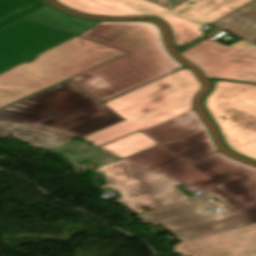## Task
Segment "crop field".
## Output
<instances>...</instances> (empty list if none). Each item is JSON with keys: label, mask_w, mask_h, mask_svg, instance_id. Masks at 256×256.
<instances>
[{"label": "crop field", "mask_w": 256, "mask_h": 256, "mask_svg": "<svg viewBox=\"0 0 256 256\" xmlns=\"http://www.w3.org/2000/svg\"><path fill=\"white\" fill-rule=\"evenodd\" d=\"M142 133L158 145L94 169L106 176L101 189L111 187L123 197L117 202L138 214L142 207L156 209L188 198L177 185L185 184L188 192L207 191L138 217L181 241L256 223V208L249 209L256 205V168L218 151L194 109ZM215 207L222 211H205Z\"/></svg>", "instance_id": "8a807250"}, {"label": "crop field", "mask_w": 256, "mask_h": 256, "mask_svg": "<svg viewBox=\"0 0 256 256\" xmlns=\"http://www.w3.org/2000/svg\"><path fill=\"white\" fill-rule=\"evenodd\" d=\"M122 121L68 81L0 110V137L11 135L51 150ZM59 134H63L59 137Z\"/></svg>", "instance_id": "ac0d7876"}, {"label": "crop field", "mask_w": 256, "mask_h": 256, "mask_svg": "<svg viewBox=\"0 0 256 256\" xmlns=\"http://www.w3.org/2000/svg\"><path fill=\"white\" fill-rule=\"evenodd\" d=\"M78 36L129 52L70 78L101 102L184 67L150 22L101 21Z\"/></svg>", "instance_id": "34b2d1b8"}, {"label": "crop field", "mask_w": 256, "mask_h": 256, "mask_svg": "<svg viewBox=\"0 0 256 256\" xmlns=\"http://www.w3.org/2000/svg\"><path fill=\"white\" fill-rule=\"evenodd\" d=\"M125 53L76 36L36 56L31 63L20 64L0 74V106Z\"/></svg>", "instance_id": "412701ff"}, {"label": "crop field", "mask_w": 256, "mask_h": 256, "mask_svg": "<svg viewBox=\"0 0 256 256\" xmlns=\"http://www.w3.org/2000/svg\"><path fill=\"white\" fill-rule=\"evenodd\" d=\"M80 12L104 16L148 15L169 24L178 48L204 35L199 29L252 0H185L168 10L146 0H56Z\"/></svg>", "instance_id": "f4fd0767"}, {"label": "crop field", "mask_w": 256, "mask_h": 256, "mask_svg": "<svg viewBox=\"0 0 256 256\" xmlns=\"http://www.w3.org/2000/svg\"><path fill=\"white\" fill-rule=\"evenodd\" d=\"M200 88L199 80L185 67L103 104L142 131L192 109Z\"/></svg>", "instance_id": "dd49c442"}, {"label": "crop field", "mask_w": 256, "mask_h": 256, "mask_svg": "<svg viewBox=\"0 0 256 256\" xmlns=\"http://www.w3.org/2000/svg\"><path fill=\"white\" fill-rule=\"evenodd\" d=\"M210 83L212 90L204 96L202 105L222 141L231 152L256 161V85Z\"/></svg>", "instance_id": "e52e79f7"}, {"label": "crop field", "mask_w": 256, "mask_h": 256, "mask_svg": "<svg viewBox=\"0 0 256 256\" xmlns=\"http://www.w3.org/2000/svg\"><path fill=\"white\" fill-rule=\"evenodd\" d=\"M181 54L207 77L256 83L254 44L240 40L226 47L207 39Z\"/></svg>", "instance_id": "d8731c3e"}, {"label": "crop field", "mask_w": 256, "mask_h": 256, "mask_svg": "<svg viewBox=\"0 0 256 256\" xmlns=\"http://www.w3.org/2000/svg\"><path fill=\"white\" fill-rule=\"evenodd\" d=\"M28 20L0 34V73L73 37Z\"/></svg>", "instance_id": "5a996713"}, {"label": "crop field", "mask_w": 256, "mask_h": 256, "mask_svg": "<svg viewBox=\"0 0 256 256\" xmlns=\"http://www.w3.org/2000/svg\"><path fill=\"white\" fill-rule=\"evenodd\" d=\"M174 251L189 256H256V224L184 241Z\"/></svg>", "instance_id": "3316defc"}, {"label": "crop field", "mask_w": 256, "mask_h": 256, "mask_svg": "<svg viewBox=\"0 0 256 256\" xmlns=\"http://www.w3.org/2000/svg\"><path fill=\"white\" fill-rule=\"evenodd\" d=\"M135 131H137V129L124 120L120 123L85 136L81 138V140L89 141L92 143V145L100 148L99 146L103 144H106ZM156 144L157 143L143 135L141 132H138L129 137L104 146L101 149L121 158H125L133 153L147 149Z\"/></svg>", "instance_id": "28ad6ade"}, {"label": "crop field", "mask_w": 256, "mask_h": 256, "mask_svg": "<svg viewBox=\"0 0 256 256\" xmlns=\"http://www.w3.org/2000/svg\"><path fill=\"white\" fill-rule=\"evenodd\" d=\"M211 26L222 28L247 41L256 37V0L218 20Z\"/></svg>", "instance_id": "d1516ede"}, {"label": "crop field", "mask_w": 256, "mask_h": 256, "mask_svg": "<svg viewBox=\"0 0 256 256\" xmlns=\"http://www.w3.org/2000/svg\"><path fill=\"white\" fill-rule=\"evenodd\" d=\"M33 19L35 23L44 22L47 26L71 34H79L99 21L84 20L77 17L62 13L50 5H45L35 13L25 17V19Z\"/></svg>", "instance_id": "22f410ed"}, {"label": "crop field", "mask_w": 256, "mask_h": 256, "mask_svg": "<svg viewBox=\"0 0 256 256\" xmlns=\"http://www.w3.org/2000/svg\"><path fill=\"white\" fill-rule=\"evenodd\" d=\"M93 148H95L96 150L90 153H87L85 155L79 156L77 158H74L73 160L78 163L88 160L98 166H101V165L108 164L121 159L101 149H98L94 146H90L79 141L72 142L64 146L58 147L56 149L51 150V152H54L56 154L62 155L67 158H72L78 154H81Z\"/></svg>", "instance_id": "cbeb9de0"}, {"label": "crop field", "mask_w": 256, "mask_h": 256, "mask_svg": "<svg viewBox=\"0 0 256 256\" xmlns=\"http://www.w3.org/2000/svg\"><path fill=\"white\" fill-rule=\"evenodd\" d=\"M47 4L43 0H0V30Z\"/></svg>", "instance_id": "5142ce71"}, {"label": "crop field", "mask_w": 256, "mask_h": 256, "mask_svg": "<svg viewBox=\"0 0 256 256\" xmlns=\"http://www.w3.org/2000/svg\"><path fill=\"white\" fill-rule=\"evenodd\" d=\"M148 1H151L153 3H156L158 5H161L163 7L170 9L184 0H148Z\"/></svg>", "instance_id": "d9b57169"}, {"label": "crop field", "mask_w": 256, "mask_h": 256, "mask_svg": "<svg viewBox=\"0 0 256 256\" xmlns=\"http://www.w3.org/2000/svg\"><path fill=\"white\" fill-rule=\"evenodd\" d=\"M22 21H24V19H21V20H19L18 22L14 23V24H12V25H10V26H8L7 28H5V30H7V29H9V28H11V27H13V26H15L16 24H18V23H20V22H22Z\"/></svg>", "instance_id": "733c2abd"}, {"label": "crop field", "mask_w": 256, "mask_h": 256, "mask_svg": "<svg viewBox=\"0 0 256 256\" xmlns=\"http://www.w3.org/2000/svg\"><path fill=\"white\" fill-rule=\"evenodd\" d=\"M4 32V30L0 31V33Z\"/></svg>", "instance_id": "4a817a6b"}, {"label": "crop field", "mask_w": 256, "mask_h": 256, "mask_svg": "<svg viewBox=\"0 0 256 256\" xmlns=\"http://www.w3.org/2000/svg\"><path fill=\"white\" fill-rule=\"evenodd\" d=\"M256 43V42H255Z\"/></svg>", "instance_id": "bc2a9ffb"}]
</instances>
